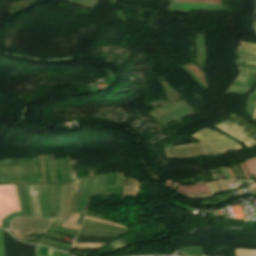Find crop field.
Returning a JSON list of instances; mask_svg holds the SVG:
<instances>
[{
  "label": "crop field",
  "mask_w": 256,
  "mask_h": 256,
  "mask_svg": "<svg viewBox=\"0 0 256 256\" xmlns=\"http://www.w3.org/2000/svg\"><path fill=\"white\" fill-rule=\"evenodd\" d=\"M204 130H206L207 132L211 133L212 135H214V136H216V137H218V138H220V139L226 141L227 143H229L230 145H232L233 147H235V148H237V149L242 148V147H239V145H238L236 142H234V141H232L231 139L226 138V137H224V136L218 134L217 132H215V131H213V130H211V129H209V128H205ZM204 130L201 129L200 131H198V133L201 134V135H203V136H205V137H207V138H209V139H211V140L214 141L216 144L222 146L223 148H225V149H227V150H229V151L237 150V149L231 147V146H230L229 144H227L226 142H224V141H222V140H220V139H218V138L212 136L211 134L207 133V132L204 131ZM199 134L196 133V134H194L193 136L196 137V138H198V139H200L201 141L207 143L208 145H210V146L216 148L217 150H219V151H221V152H223V153L228 152L227 150H225V149H223L222 147H220V146L216 145L215 143H213L211 140H209V139H207V138H205V137H203V136H201V135H199ZM198 139H197V140H198ZM200 140H198V141H200ZM201 141H200V142H201ZM203 142H201V143H202L203 146H204V149H205V151H206V155H212V154H219V153H221V152L215 150L214 148L208 146L207 144H205V143H203ZM201 143L191 144V145H184V146H178V147L169 146V147H165V149H166V152H167V153H170V152H178V151H185V150H190V149H195V148H201V147H202ZM199 150H203V148H201V149H195V150H190V151H185V152H192V151H199ZM205 151L192 152V153H185V154H177V155H170V156H167V158L169 159V158H175V157H191V156L205 155ZM179 153H184V152H179ZM171 154H176V153H171ZM167 155H169V154H167Z\"/></svg>",
  "instance_id": "crop-field-1"
},
{
  "label": "crop field",
  "mask_w": 256,
  "mask_h": 256,
  "mask_svg": "<svg viewBox=\"0 0 256 256\" xmlns=\"http://www.w3.org/2000/svg\"><path fill=\"white\" fill-rule=\"evenodd\" d=\"M18 211V201L14 185L0 186V226L1 220L5 216Z\"/></svg>",
  "instance_id": "crop-field-2"
},
{
  "label": "crop field",
  "mask_w": 256,
  "mask_h": 256,
  "mask_svg": "<svg viewBox=\"0 0 256 256\" xmlns=\"http://www.w3.org/2000/svg\"><path fill=\"white\" fill-rule=\"evenodd\" d=\"M5 256H36L35 245L21 243L3 230Z\"/></svg>",
  "instance_id": "crop-field-3"
},
{
  "label": "crop field",
  "mask_w": 256,
  "mask_h": 256,
  "mask_svg": "<svg viewBox=\"0 0 256 256\" xmlns=\"http://www.w3.org/2000/svg\"><path fill=\"white\" fill-rule=\"evenodd\" d=\"M50 222L51 220H46V219L20 217V218L14 219L11 225L46 229L50 224ZM16 226H11V228L19 229V230H27V231L44 232V230L42 229H33V228L16 227Z\"/></svg>",
  "instance_id": "crop-field-4"
},
{
  "label": "crop field",
  "mask_w": 256,
  "mask_h": 256,
  "mask_svg": "<svg viewBox=\"0 0 256 256\" xmlns=\"http://www.w3.org/2000/svg\"><path fill=\"white\" fill-rule=\"evenodd\" d=\"M255 78V74L240 72L238 78L235 80V82L232 84L227 92L246 94V92L252 87Z\"/></svg>",
  "instance_id": "crop-field-5"
},
{
  "label": "crop field",
  "mask_w": 256,
  "mask_h": 256,
  "mask_svg": "<svg viewBox=\"0 0 256 256\" xmlns=\"http://www.w3.org/2000/svg\"><path fill=\"white\" fill-rule=\"evenodd\" d=\"M176 191L181 192L185 195H188L191 198L211 197L205 183L192 184V185H186V186H178Z\"/></svg>",
  "instance_id": "crop-field-6"
},
{
  "label": "crop field",
  "mask_w": 256,
  "mask_h": 256,
  "mask_svg": "<svg viewBox=\"0 0 256 256\" xmlns=\"http://www.w3.org/2000/svg\"><path fill=\"white\" fill-rule=\"evenodd\" d=\"M233 119L224 121L231 127L256 140V127L239 118L236 114L230 115Z\"/></svg>",
  "instance_id": "crop-field-7"
},
{
  "label": "crop field",
  "mask_w": 256,
  "mask_h": 256,
  "mask_svg": "<svg viewBox=\"0 0 256 256\" xmlns=\"http://www.w3.org/2000/svg\"><path fill=\"white\" fill-rule=\"evenodd\" d=\"M214 125L215 127H217L218 129L228 133V134H231L235 137H238L240 140H242L244 142L245 145L247 146H250V145H253V144H256V142H254L253 140L249 139L248 137L244 136L243 134L237 132L236 130L232 129L231 127L227 126L226 124L224 123H219L217 125L215 124H212Z\"/></svg>",
  "instance_id": "crop-field-8"
},
{
  "label": "crop field",
  "mask_w": 256,
  "mask_h": 256,
  "mask_svg": "<svg viewBox=\"0 0 256 256\" xmlns=\"http://www.w3.org/2000/svg\"><path fill=\"white\" fill-rule=\"evenodd\" d=\"M43 218H51L47 206L46 185H37Z\"/></svg>",
  "instance_id": "crop-field-9"
},
{
  "label": "crop field",
  "mask_w": 256,
  "mask_h": 256,
  "mask_svg": "<svg viewBox=\"0 0 256 256\" xmlns=\"http://www.w3.org/2000/svg\"><path fill=\"white\" fill-rule=\"evenodd\" d=\"M83 222L92 223V224H98V225H103V226H109V227H114V228H119V229H125V228H121V227H116V226H111V225H107V224L91 222V221H86V220H84ZM103 226H97V225H91V224L83 223L81 228H83V229H91V230H102V231L119 232V233H124V232H126L125 230H128V229L119 230V229L103 227Z\"/></svg>",
  "instance_id": "crop-field-10"
},
{
  "label": "crop field",
  "mask_w": 256,
  "mask_h": 256,
  "mask_svg": "<svg viewBox=\"0 0 256 256\" xmlns=\"http://www.w3.org/2000/svg\"><path fill=\"white\" fill-rule=\"evenodd\" d=\"M54 186L55 185H47L49 209H51V205H52V196H53ZM56 188H57V185H56ZM56 188H55V193H56ZM60 189H61V185H58L55 204H54V198H55V193H54V197H53L54 209H53V206H52L53 211H57V208H58ZM57 218H58V215H57Z\"/></svg>",
  "instance_id": "crop-field-11"
},
{
  "label": "crop field",
  "mask_w": 256,
  "mask_h": 256,
  "mask_svg": "<svg viewBox=\"0 0 256 256\" xmlns=\"http://www.w3.org/2000/svg\"><path fill=\"white\" fill-rule=\"evenodd\" d=\"M72 183L69 184H65L62 190V196H61V207H60V217L59 218H63V214H64V200H65V194H66V190H67V186H68V190H67V194H66V201H65V214H64V218L66 217V212H67V208H68V203H69V197H70V192H71V188H72Z\"/></svg>",
  "instance_id": "crop-field-12"
},
{
  "label": "crop field",
  "mask_w": 256,
  "mask_h": 256,
  "mask_svg": "<svg viewBox=\"0 0 256 256\" xmlns=\"http://www.w3.org/2000/svg\"><path fill=\"white\" fill-rule=\"evenodd\" d=\"M19 164H20V167H15V168H16V170H17V173H18L20 182L22 183V182H25V178H24V171H23V167H22V164H21V160H20V159H19ZM15 168H12V169H13V171H14V173H15V175H16V178H17V180H18V182H19V179H18V176H17V173H16ZM4 169H5L6 173H7V176H8V178H9L10 182H11V183H14V182H15V183H18L17 180H16V178H15V175H14L12 169L9 168V169H10V173H11V175H12V177H13L14 182H13V180H12V178H11V175H10V173H9L8 168H4ZM20 182H19V183H20Z\"/></svg>",
  "instance_id": "crop-field-13"
},
{
  "label": "crop field",
  "mask_w": 256,
  "mask_h": 256,
  "mask_svg": "<svg viewBox=\"0 0 256 256\" xmlns=\"http://www.w3.org/2000/svg\"><path fill=\"white\" fill-rule=\"evenodd\" d=\"M91 179H92V178H88L87 187H86V192H85V186H86L87 178L84 179V183H83V188H82L81 195H84V192H85V197H84V200H83V196H81V199H80V203H79V205H78L77 212H80L82 200H83V204H82L81 212L84 213V211H85V207H86V203H87V198H88V194H89V188H90Z\"/></svg>",
  "instance_id": "crop-field-14"
},
{
  "label": "crop field",
  "mask_w": 256,
  "mask_h": 256,
  "mask_svg": "<svg viewBox=\"0 0 256 256\" xmlns=\"http://www.w3.org/2000/svg\"><path fill=\"white\" fill-rule=\"evenodd\" d=\"M240 165H241V167L243 169V172H244L246 178L249 179V177L247 175V172H246V170H245L243 165H245L247 167L249 175L255 174V176H256V158L247 160L244 164H240Z\"/></svg>",
  "instance_id": "crop-field-15"
},
{
  "label": "crop field",
  "mask_w": 256,
  "mask_h": 256,
  "mask_svg": "<svg viewBox=\"0 0 256 256\" xmlns=\"http://www.w3.org/2000/svg\"><path fill=\"white\" fill-rule=\"evenodd\" d=\"M113 238L79 236L76 242H107Z\"/></svg>",
  "instance_id": "crop-field-16"
},
{
  "label": "crop field",
  "mask_w": 256,
  "mask_h": 256,
  "mask_svg": "<svg viewBox=\"0 0 256 256\" xmlns=\"http://www.w3.org/2000/svg\"><path fill=\"white\" fill-rule=\"evenodd\" d=\"M81 183H82V179L77 180L76 191H75V195H74V199H73V203H72V207H71L70 213L76 212L77 200H78V198L80 196V191H81Z\"/></svg>",
  "instance_id": "crop-field-17"
},
{
  "label": "crop field",
  "mask_w": 256,
  "mask_h": 256,
  "mask_svg": "<svg viewBox=\"0 0 256 256\" xmlns=\"http://www.w3.org/2000/svg\"><path fill=\"white\" fill-rule=\"evenodd\" d=\"M21 160H22L23 167H24V170H25V175H26L27 183H30L28 167H29V170H30L31 183H34V179H33V170H32V166H31L30 160H27V162H28V167H27V162H26V160H23V159H21Z\"/></svg>",
  "instance_id": "crop-field-18"
},
{
  "label": "crop field",
  "mask_w": 256,
  "mask_h": 256,
  "mask_svg": "<svg viewBox=\"0 0 256 256\" xmlns=\"http://www.w3.org/2000/svg\"><path fill=\"white\" fill-rule=\"evenodd\" d=\"M105 177H106V176H99L98 185H97L98 176H97V177H94L93 188H92V194L95 193L96 185H97L96 192H98V191H100V190L103 189V187H104V185H105ZM92 194H91V195H92Z\"/></svg>",
  "instance_id": "crop-field-19"
},
{
  "label": "crop field",
  "mask_w": 256,
  "mask_h": 256,
  "mask_svg": "<svg viewBox=\"0 0 256 256\" xmlns=\"http://www.w3.org/2000/svg\"><path fill=\"white\" fill-rule=\"evenodd\" d=\"M30 194H31V199L34 207L35 217L41 218L37 194L36 192H30Z\"/></svg>",
  "instance_id": "crop-field-20"
},
{
  "label": "crop field",
  "mask_w": 256,
  "mask_h": 256,
  "mask_svg": "<svg viewBox=\"0 0 256 256\" xmlns=\"http://www.w3.org/2000/svg\"><path fill=\"white\" fill-rule=\"evenodd\" d=\"M19 187H20V192H21V197H22L24 212H25V214H29V210H28V205H27V201H26V196H25L24 187H23V185H19ZM29 216H30V214H29Z\"/></svg>",
  "instance_id": "crop-field-21"
},
{
  "label": "crop field",
  "mask_w": 256,
  "mask_h": 256,
  "mask_svg": "<svg viewBox=\"0 0 256 256\" xmlns=\"http://www.w3.org/2000/svg\"><path fill=\"white\" fill-rule=\"evenodd\" d=\"M181 250L202 252L201 247H190V248H184V249H181ZM186 251H182V252H184L186 254H189V255L202 256V253L186 252Z\"/></svg>",
  "instance_id": "crop-field-22"
},
{
  "label": "crop field",
  "mask_w": 256,
  "mask_h": 256,
  "mask_svg": "<svg viewBox=\"0 0 256 256\" xmlns=\"http://www.w3.org/2000/svg\"><path fill=\"white\" fill-rule=\"evenodd\" d=\"M175 1L220 4V0H175Z\"/></svg>",
  "instance_id": "crop-field-23"
},
{
  "label": "crop field",
  "mask_w": 256,
  "mask_h": 256,
  "mask_svg": "<svg viewBox=\"0 0 256 256\" xmlns=\"http://www.w3.org/2000/svg\"><path fill=\"white\" fill-rule=\"evenodd\" d=\"M236 256H256V252L235 250Z\"/></svg>",
  "instance_id": "crop-field-24"
},
{
  "label": "crop field",
  "mask_w": 256,
  "mask_h": 256,
  "mask_svg": "<svg viewBox=\"0 0 256 256\" xmlns=\"http://www.w3.org/2000/svg\"><path fill=\"white\" fill-rule=\"evenodd\" d=\"M24 187H25V191H26V196H27V200H28V205H29L30 214H31V216L34 217V215H33V210H32L31 199H30V194H29V190H28V186H27V185H24Z\"/></svg>",
  "instance_id": "crop-field-25"
},
{
  "label": "crop field",
  "mask_w": 256,
  "mask_h": 256,
  "mask_svg": "<svg viewBox=\"0 0 256 256\" xmlns=\"http://www.w3.org/2000/svg\"><path fill=\"white\" fill-rule=\"evenodd\" d=\"M115 174L116 173H112L108 175L106 186H111L114 184Z\"/></svg>",
  "instance_id": "crop-field-26"
},
{
  "label": "crop field",
  "mask_w": 256,
  "mask_h": 256,
  "mask_svg": "<svg viewBox=\"0 0 256 256\" xmlns=\"http://www.w3.org/2000/svg\"><path fill=\"white\" fill-rule=\"evenodd\" d=\"M256 95V92L251 94L249 101H248V108H247V112L251 114V109H252V104H253V99L254 96Z\"/></svg>",
  "instance_id": "crop-field-27"
},
{
  "label": "crop field",
  "mask_w": 256,
  "mask_h": 256,
  "mask_svg": "<svg viewBox=\"0 0 256 256\" xmlns=\"http://www.w3.org/2000/svg\"><path fill=\"white\" fill-rule=\"evenodd\" d=\"M59 162H60L61 181L65 182L63 159L59 160Z\"/></svg>",
  "instance_id": "crop-field-28"
},
{
  "label": "crop field",
  "mask_w": 256,
  "mask_h": 256,
  "mask_svg": "<svg viewBox=\"0 0 256 256\" xmlns=\"http://www.w3.org/2000/svg\"><path fill=\"white\" fill-rule=\"evenodd\" d=\"M105 191L113 193L114 187H106ZM121 191H122V187H116V189H115L116 194H121Z\"/></svg>",
  "instance_id": "crop-field-29"
},
{
  "label": "crop field",
  "mask_w": 256,
  "mask_h": 256,
  "mask_svg": "<svg viewBox=\"0 0 256 256\" xmlns=\"http://www.w3.org/2000/svg\"><path fill=\"white\" fill-rule=\"evenodd\" d=\"M237 53H239V54H246V55H252V57L241 55V58H245V59H250V60L256 61V54L244 53V52H239V51H237Z\"/></svg>",
  "instance_id": "crop-field-30"
},
{
  "label": "crop field",
  "mask_w": 256,
  "mask_h": 256,
  "mask_svg": "<svg viewBox=\"0 0 256 256\" xmlns=\"http://www.w3.org/2000/svg\"><path fill=\"white\" fill-rule=\"evenodd\" d=\"M80 231L89 232V233L120 235L119 233L102 232V231H91V230H83V229H81Z\"/></svg>",
  "instance_id": "crop-field-31"
},
{
  "label": "crop field",
  "mask_w": 256,
  "mask_h": 256,
  "mask_svg": "<svg viewBox=\"0 0 256 256\" xmlns=\"http://www.w3.org/2000/svg\"><path fill=\"white\" fill-rule=\"evenodd\" d=\"M0 256H4V254H3V237H2V229H0Z\"/></svg>",
  "instance_id": "crop-field-32"
},
{
  "label": "crop field",
  "mask_w": 256,
  "mask_h": 256,
  "mask_svg": "<svg viewBox=\"0 0 256 256\" xmlns=\"http://www.w3.org/2000/svg\"><path fill=\"white\" fill-rule=\"evenodd\" d=\"M39 160H40V164H41V168H42L43 182H46L45 181V170H44V166H43V156H39Z\"/></svg>",
  "instance_id": "crop-field-33"
},
{
  "label": "crop field",
  "mask_w": 256,
  "mask_h": 256,
  "mask_svg": "<svg viewBox=\"0 0 256 256\" xmlns=\"http://www.w3.org/2000/svg\"><path fill=\"white\" fill-rule=\"evenodd\" d=\"M31 161H32V163H33V167H34V178H35V183H38L36 163H35V160H34V159H32Z\"/></svg>",
  "instance_id": "crop-field-34"
},
{
  "label": "crop field",
  "mask_w": 256,
  "mask_h": 256,
  "mask_svg": "<svg viewBox=\"0 0 256 256\" xmlns=\"http://www.w3.org/2000/svg\"><path fill=\"white\" fill-rule=\"evenodd\" d=\"M78 214H79V213H77V214H72V216H71L68 220H66V222L76 223Z\"/></svg>",
  "instance_id": "crop-field-35"
},
{
  "label": "crop field",
  "mask_w": 256,
  "mask_h": 256,
  "mask_svg": "<svg viewBox=\"0 0 256 256\" xmlns=\"http://www.w3.org/2000/svg\"><path fill=\"white\" fill-rule=\"evenodd\" d=\"M236 62H238V63H245V64H255L256 65V62L249 61V60H244V59H236Z\"/></svg>",
  "instance_id": "crop-field-36"
},
{
  "label": "crop field",
  "mask_w": 256,
  "mask_h": 256,
  "mask_svg": "<svg viewBox=\"0 0 256 256\" xmlns=\"http://www.w3.org/2000/svg\"><path fill=\"white\" fill-rule=\"evenodd\" d=\"M79 235H87V236H104V237H116V236H111V235H98V234H89V233H83L80 232Z\"/></svg>",
  "instance_id": "crop-field-37"
},
{
  "label": "crop field",
  "mask_w": 256,
  "mask_h": 256,
  "mask_svg": "<svg viewBox=\"0 0 256 256\" xmlns=\"http://www.w3.org/2000/svg\"><path fill=\"white\" fill-rule=\"evenodd\" d=\"M139 186H140V183H138V182L135 181L133 197H135V196L137 195V192H138V190H139Z\"/></svg>",
  "instance_id": "crop-field-38"
},
{
  "label": "crop field",
  "mask_w": 256,
  "mask_h": 256,
  "mask_svg": "<svg viewBox=\"0 0 256 256\" xmlns=\"http://www.w3.org/2000/svg\"><path fill=\"white\" fill-rule=\"evenodd\" d=\"M47 161H48L50 180H51V182H53V177H52V172H51V165H50V158H49V156H47Z\"/></svg>",
  "instance_id": "crop-field-39"
},
{
  "label": "crop field",
  "mask_w": 256,
  "mask_h": 256,
  "mask_svg": "<svg viewBox=\"0 0 256 256\" xmlns=\"http://www.w3.org/2000/svg\"><path fill=\"white\" fill-rule=\"evenodd\" d=\"M238 48L250 50V51H256V49H254V48H249V47H244V46H238ZM240 49H238V50H240ZM245 50H240V51H245ZM250 51H246V52H250ZM253 53H255V52H253Z\"/></svg>",
  "instance_id": "crop-field-40"
},
{
  "label": "crop field",
  "mask_w": 256,
  "mask_h": 256,
  "mask_svg": "<svg viewBox=\"0 0 256 256\" xmlns=\"http://www.w3.org/2000/svg\"><path fill=\"white\" fill-rule=\"evenodd\" d=\"M113 249H114L113 247L107 245V246L103 247L102 249H100V251L105 252V251H109V250H113Z\"/></svg>",
  "instance_id": "crop-field-41"
},
{
  "label": "crop field",
  "mask_w": 256,
  "mask_h": 256,
  "mask_svg": "<svg viewBox=\"0 0 256 256\" xmlns=\"http://www.w3.org/2000/svg\"><path fill=\"white\" fill-rule=\"evenodd\" d=\"M134 180L130 178V187L128 195H131Z\"/></svg>",
  "instance_id": "crop-field-42"
},
{
  "label": "crop field",
  "mask_w": 256,
  "mask_h": 256,
  "mask_svg": "<svg viewBox=\"0 0 256 256\" xmlns=\"http://www.w3.org/2000/svg\"><path fill=\"white\" fill-rule=\"evenodd\" d=\"M51 157H52V164H53L54 182H57V181H56V174H55L54 159H53V156H52V155H51Z\"/></svg>",
  "instance_id": "crop-field-43"
},
{
  "label": "crop field",
  "mask_w": 256,
  "mask_h": 256,
  "mask_svg": "<svg viewBox=\"0 0 256 256\" xmlns=\"http://www.w3.org/2000/svg\"><path fill=\"white\" fill-rule=\"evenodd\" d=\"M83 215L84 214H82V213L79 214V218H78L77 224H79V225L81 224Z\"/></svg>",
  "instance_id": "crop-field-44"
},
{
  "label": "crop field",
  "mask_w": 256,
  "mask_h": 256,
  "mask_svg": "<svg viewBox=\"0 0 256 256\" xmlns=\"http://www.w3.org/2000/svg\"><path fill=\"white\" fill-rule=\"evenodd\" d=\"M237 65L241 67H247V68H256V66H252V65H242V64H237Z\"/></svg>",
  "instance_id": "crop-field-45"
},
{
  "label": "crop field",
  "mask_w": 256,
  "mask_h": 256,
  "mask_svg": "<svg viewBox=\"0 0 256 256\" xmlns=\"http://www.w3.org/2000/svg\"><path fill=\"white\" fill-rule=\"evenodd\" d=\"M64 165H65V169H68V158L67 157L64 158Z\"/></svg>",
  "instance_id": "crop-field-46"
},
{
  "label": "crop field",
  "mask_w": 256,
  "mask_h": 256,
  "mask_svg": "<svg viewBox=\"0 0 256 256\" xmlns=\"http://www.w3.org/2000/svg\"><path fill=\"white\" fill-rule=\"evenodd\" d=\"M239 69L243 71H248V72H256V70H252V69H245V68H239Z\"/></svg>",
  "instance_id": "crop-field-47"
},
{
  "label": "crop field",
  "mask_w": 256,
  "mask_h": 256,
  "mask_svg": "<svg viewBox=\"0 0 256 256\" xmlns=\"http://www.w3.org/2000/svg\"><path fill=\"white\" fill-rule=\"evenodd\" d=\"M227 171L231 175V177H235L234 173L232 172L231 168H227Z\"/></svg>",
  "instance_id": "crop-field-48"
},
{
  "label": "crop field",
  "mask_w": 256,
  "mask_h": 256,
  "mask_svg": "<svg viewBox=\"0 0 256 256\" xmlns=\"http://www.w3.org/2000/svg\"><path fill=\"white\" fill-rule=\"evenodd\" d=\"M58 254H59V252H58V251L53 250V254H52V256H58Z\"/></svg>",
  "instance_id": "crop-field-49"
},
{
  "label": "crop field",
  "mask_w": 256,
  "mask_h": 256,
  "mask_svg": "<svg viewBox=\"0 0 256 256\" xmlns=\"http://www.w3.org/2000/svg\"><path fill=\"white\" fill-rule=\"evenodd\" d=\"M114 252H116V250L110 251V252H106V253H102V254H103V255H106V254H111V253H114Z\"/></svg>",
  "instance_id": "crop-field-50"
},
{
  "label": "crop field",
  "mask_w": 256,
  "mask_h": 256,
  "mask_svg": "<svg viewBox=\"0 0 256 256\" xmlns=\"http://www.w3.org/2000/svg\"><path fill=\"white\" fill-rule=\"evenodd\" d=\"M119 239H121L122 241H124L125 243H126V241L128 240V239H126L125 237H120Z\"/></svg>",
  "instance_id": "crop-field-51"
},
{
  "label": "crop field",
  "mask_w": 256,
  "mask_h": 256,
  "mask_svg": "<svg viewBox=\"0 0 256 256\" xmlns=\"http://www.w3.org/2000/svg\"><path fill=\"white\" fill-rule=\"evenodd\" d=\"M66 182H68V171H65Z\"/></svg>",
  "instance_id": "crop-field-52"
},
{
  "label": "crop field",
  "mask_w": 256,
  "mask_h": 256,
  "mask_svg": "<svg viewBox=\"0 0 256 256\" xmlns=\"http://www.w3.org/2000/svg\"><path fill=\"white\" fill-rule=\"evenodd\" d=\"M126 189H127V187H124V191H123V198H124V196H125ZM123 198H122V199H123Z\"/></svg>",
  "instance_id": "crop-field-53"
},
{
  "label": "crop field",
  "mask_w": 256,
  "mask_h": 256,
  "mask_svg": "<svg viewBox=\"0 0 256 256\" xmlns=\"http://www.w3.org/2000/svg\"><path fill=\"white\" fill-rule=\"evenodd\" d=\"M118 176H119V172H117V177H116L115 185H117Z\"/></svg>",
  "instance_id": "crop-field-54"
},
{
  "label": "crop field",
  "mask_w": 256,
  "mask_h": 256,
  "mask_svg": "<svg viewBox=\"0 0 256 256\" xmlns=\"http://www.w3.org/2000/svg\"><path fill=\"white\" fill-rule=\"evenodd\" d=\"M51 254H52V250L49 249V251H48V256H51Z\"/></svg>",
  "instance_id": "crop-field-55"
},
{
  "label": "crop field",
  "mask_w": 256,
  "mask_h": 256,
  "mask_svg": "<svg viewBox=\"0 0 256 256\" xmlns=\"http://www.w3.org/2000/svg\"><path fill=\"white\" fill-rule=\"evenodd\" d=\"M254 106H255V110H256V102H255ZM254 119H256V112H255V115H254Z\"/></svg>",
  "instance_id": "crop-field-56"
},
{
  "label": "crop field",
  "mask_w": 256,
  "mask_h": 256,
  "mask_svg": "<svg viewBox=\"0 0 256 256\" xmlns=\"http://www.w3.org/2000/svg\"><path fill=\"white\" fill-rule=\"evenodd\" d=\"M124 184L127 185L126 178L124 177Z\"/></svg>",
  "instance_id": "crop-field-57"
},
{
  "label": "crop field",
  "mask_w": 256,
  "mask_h": 256,
  "mask_svg": "<svg viewBox=\"0 0 256 256\" xmlns=\"http://www.w3.org/2000/svg\"><path fill=\"white\" fill-rule=\"evenodd\" d=\"M60 255H61V252H60ZM60 255H59V256H60ZM63 255H64V253L62 252V255H61V256H63ZM65 256H68V255H67V254H65Z\"/></svg>",
  "instance_id": "crop-field-58"
},
{
  "label": "crop field",
  "mask_w": 256,
  "mask_h": 256,
  "mask_svg": "<svg viewBox=\"0 0 256 256\" xmlns=\"http://www.w3.org/2000/svg\"><path fill=\"white\" fill-rule=\"evenodd\" d=\"M242 45H244V44H242ZM244 46H248V45H244ZM249 47H253V46H249ZM254 48H256V47H254Z\"/></svg>",
  "instance_id": "crop-field-59"
}]
</instances>
